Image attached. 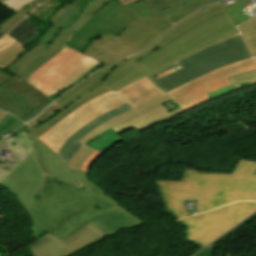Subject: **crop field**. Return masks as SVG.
<instances>
[{"mask_svg":"<svg viewBox=\"0 0 256 256\" xmlns=\"http://www.w3.org/2000/svg\"><path fill=\"white\" fill-rule=\"evenodd\" d=\"M256 162L239 159L231 174L185 169L181 182L157 181L163 204L177 219L186 217L183 200L198 199V213L234 201H256Z\"/></svg>","mask_w":256,"mask_h":256,"instance_id":"crop-field-2","label":"crop field"},{"mask_svg":"<svg viewBox=\"0 0 256 256\" xmlns=\"http://www.w3.org/2000/svg\"><path fill=\"white\" fill-rule=\"evenodd\" d=\"M175 66H177L176 63L170 65L168 68H166V69H164V70H162V71H159V72H157V73H155V74H153V75H151V76H148V78H150V77H152V76H155V75H157V74H159V73H162V72H164V71H166V70H168V69H170V68H173V67H175Z\"/></svg>","mask_w":256,"mask_h":256,"instance_id":"crop-field-46","label":"crop field"},{"mask_svg":"<svg viewBox=\"0 0 256 256\" xmlns=\"http://www.w3.org/2000/svg\"><path fill=\"white\" fill-rule=\"evenodd\" d=\"M23 123H21L19 120L15 123V124H13L9 129H11V130H14L15 128H17V127H19L20 125H22ZM6 131V130H5ZM4 131V132H5ZM1 133H3V132H1ZM1 140V139H0Z\"/></svg>","mask_w":256,"mask_h":256,"instance_id":"crop-field-47","label":"crop field"},{"mask_svg":"<svg viewBox=\"0 0 256 256\" xmlns=\"http://www.w3.org/2000/svg\"><path fill=\"white\" fill-rule=\"evenodd\" d=\"M135 19L137 18L118 0H111L77 30L68 47L81 52L92 37H99L107 32L118 36Z\"/></svg>","mask_w":256,"mask_h":256,"instance_id":"crop-field-11","label":"crop field"},{"mask_svg":"<svg viewBox=\"0 0 256 256\" xmlns=\"http://www.w3.org/2000/svg\"><path fill=\"white\" fill-rule=\"evenodd\" d=\"M14 42H16V41L11 39L9 36H7V35L4 36L2 39H0V50L8 47L9 45H11Z\"/></svg>","mask_w":256,"mask_h":256,"instance_id":"crop-field-40","label":"crop field"},{"mask_svg":"<svg viewBox=\"0 0 256 256\" xmlns=\"http://www.w3.org/2000/svg\"><path fill=\"white\" fill-rule=\"evenodd\" d=\"M17 120L18 119L14 118L8 114L0 123V131L4 130L6 128H9Z\"/></svg>","mask_w":256,"mask_h":256,"instance_id":"crop-field-37","label":"crop field"},{"mask_svg":"<svg viewBox=\"0 0 256 256\" xmlns=\"http://www.w3.org/2000/svg\"><path fill=\"white\" fill-rule=\"evenodd\" d=\"M254 174H256V170L254 171Z\"/></svg>","mask_w":256,"mask_h":256,"instance_id":"crop-field-51","label":"crop field"},{"mask_svg":"<svg viewBox=\"0 0 256 256\" xmlns=\"http://www.w3.org/2000/svg\"><path fill=\"white\" fill-rule=\"evenodd\" d=\"M126 103L116 92L103 94L68 115L39 139L57 154L61 145L71 134L100 115Z\"/></svg>","mask_w":256,"mask_h":256,"instance_id":"crop-field-9","label":"crop field"},{"mask_svg":"<svg viewBox=\"0 0 256 256\" xmlns=\"http://www.w3.org/2000/svg\"><path fill=\"white\" fill-rule=\"evenodd\" d=\"M205 9L206 10H200L195 14L191 15L190 17L184 19L179 24L172 27L167 33L158 38L156 41L163 45L174 39L179 34L186 32L189 28L205 21L207 18L225 11V8L221 2L205 7Z\"/></svg>","mask_w":256,"mask_h":256,"instance_id":"crop-field-21","label":"crop field"},{"mask_svg":"<svg viewBox=\"0 0 256 256\" xmlns=\"http://www.w3.org/2000/svg\"><path fill=\"white\" fill-rule=\"evenodd\" d=\"M26 128H27V126L24 125V126L19 127L18 130L22 131V130H24V129H26Z\"/></svg>","mask_w":256,"mask_h":256,"instance_id":"crop-field-49","label":"crop field"},{"mask_svg":"<svg viewBox=\"0 0 256 256\" xmlns=\"http://www.w3.org/2000/svg\"><path fill=\"white\" fill-rule=\"evenodd\" d=\"M236 89L256 84V71L228 78ZM247 82V84H246Z\"/></svg>","mask_w":256,"mask_h":256,"instance_id":"crop-field-32","label":"crop field"},{"mask_svg":"<svg viewBox=\"0 0 256 256\" xmlns=\"http://www.w3.org/2000/svg\"><path fill=\"white\" fill-rule=\"evenodd\" d=\"M7 115L5 112L0 111V121Z\"/></svg>","mask_w":256,"mask_h":256,"instance_id":"crop-field-48","label":"crop field"},{"mask_svg":"<svg viewBox=\"0 0 256 256\" xmlns=\"http://www.w3.org/2000/svg\"><path fill=\"white\" fill-rule=\"evenodd\" d=\"M13 136L28 154H34L43 177L39 201L26 208L32 220L33 237L38 238L47 231L55 236L81 211L90 207L98 210L114 203L104 191L89 182L87 172L68 168L27 129Z\"/></svg>","mask_w":256,"mask_h":256,"instance_id":"crop-field-1","label":"crop field"},{"mask_svg":"<svg viewBox=\"0 0 256 256\" xmlns=\"http://www.w3.org/2000/svg\"><path fill=\"white\" fill-rule=\"evenodd\" d=\"M4 35H5V33H3V32L0 31V38H1L2 36H4Z\"/></svg>","mask_w":256,"mask_h":256,"instance_id":"crop-field-50","label":"crop field"},{"mask_svg":"<svg viewBox=\"0 0 256 256\" xmlns=\"http://www.w3.org/2000/svg\"><path fill=\"white\" fill-rule=\"evenodd\" d=\"M166 50L168 49L162 46L160 49H158L157 51H155L154 53H152L151 55L147 56L146 58H144L143 60L139 61L134 65L125 60L113 71H111L110 74L98 87L84 94L83 96L72 102L69 106H67V108L63 110L61 113L57 114L44 124L32 129L29 133L32 134L34 137L38 138L40 135L47 132L59 121H61L64 117H66L68 114L82 106L88 100L98 97L105 92L116 91L123 86H126L146 75H149L140 67H142L144 63L156 58Z\"/></svg>","mask_w":256,"mask_h":256,"instance_id":"crop-field-8","label":"crop field"},{"mask_svg":"<svg viewBox=\"0 0 256 256\" xmlns=\"http://www.w3.org/2000/svg\"><path fill=\"white\" fill-rule=\"evenodd\" d=\"M36 30L37 27L35 24L26 18L21 23H19L8 35L17 42L26 46L37 39L39 33H37Z\"/></svg>","mask_w":256,"mask_h":256,"instance_id":"crop-field-25","label":"crop field"},{"mask_svg":"<svg viewBox=\"0 0 256 256\" xmlns=\"http://www.w3.org/2000/svg\"><path fill=\"white\" fill-rule=\"evenodd\" d=\"M86 20V18H83L81 16H79L74 23L70 26V28L68 30L62 28L61 32L59 33V35L56 37V39L53 41V43L50 45V47L48 48L51 51L54 52H58L63 45L65 44V42L67 41V39L70 37V35Z\"/></svg>","mask_w":256,"mask_h":256,"instance_id":"crop-field-29","label":"crop field"},{"mask_svg":"<svg viewBox=\"0 0 256 256\" xmlns=\"http://www.w3.org/2000/svg\"><path fill=\"white\" fill-rule=\"evenodd\" d=\"M238 28L248 43L254 56H256V18L240 25Z\"/></svg>","mask_w":256,"mask_h":256,"instance_id":"crop-field-30","label":"crop field"},{"mask_svg":"<svg viewBox=\"0 0 256 256\" xmlns=\"http://www.w3.org/2000/svg\"><path fill=\"white\" fill-rule=\"evenodd\" d=\"M25 51V48L19 44L14 43L8 48L4 49L0 52V68H5L8 65L12 64L16 58V56Z\"/></svg>","mask_w":256,"mask_h":256,"instance_id":"crop-field-31","label":"crop field"},{"mask_svg":"<svg viewBox=\"0 0 256 256\" xmlns=\"http://www.w3.org/2000/svg\"><path fill=\"white\" fill-rule=\"evenodd\" d=\"M32 1L33 0H3L0 2V5L16 12L17 10L21 9Z\"/></svg>","mask_w":256,"mask_h":256,"instance_id":"crop-field-34","label":"crop field"},{"mask_svg":"<svg viewBox=\"0 0 256 256\" xmlns=\"http://www.w3.org/2000/svg\"><path fill=\"white\" fill-rule=\"evenodd\" d=\"M117 92L121 97L127 100L133 108L163 94V92L147 78Z\"/></svg>","mask_w":256,"mask_h":256,"instance_id":"crop-field-22","label":"crop field"},{"mask_svg":"<svg viewBox=\"0 0 256 256\" xmlns=\"http://www.w3.org/2000/svg\"><path fill=\"white\" fill-rule=\"evenodd\" d=\"M130 109H132V108L128 104H126L122 107H119L115 110H112V111L100 116L99 118H97L93 122L89 123L88 125H86L82 129H80L79 131H77L76 133L71 135L65 141V143L62 145L60 151L57 154L58 157L60 158V160L63 163H65L66 165H68L71 158L79 150V148L83 145V144L79 143L77 140H79L85 134L90 132L96 126H98V125H100V124H102V123H104V122H106V121H108V120H110V119H112V118L130 110Z\"/></svg>","mask_w":256,"mask_h":256,"instance_id":"crop-field-18","label":"crop field"},{"mask_svg":"<svg viewBox=\"0 0 256 256\" xmlns=\"http://www.w3.org/2000/svg\"><path fill=\"white\" fill-rule=\"evenodd\" d=\"M59 30L60 27L56 25L51 26L40 44L35 46L21 59L15 62L13 66L6 70L14 74V77H18L19 79H24L29 74H31L40 65L55 55V53L45 49V47L49 44L53 36L58 33Z\"/></svg>","mask_w":256,"mask_h":256,"instance_id":"crop-field-17","label":"crop field"},{"mask_svg":"<svg viewBox=\"0 0 256 256\" xmlns=\"http://www.w3.org/2000/svg\"><path fill=\"white\" fill-rule=\"evenodd\" d=\"M53 101L51 100L48 104H46L45 106H43L41 109H39L37 112H35L33 115H31L29 118H27L24 122H27L29 120H31L32 118L36 117L37 115H39L50 103H52Z\"/></svg>","mask_w":256,"mask_h":256,"instance_id":"crop-field-43","label":"crop field"},{"mask_svg":"<svg viewBox=\"0 0 256 256\" xmlns=\"http://www.w3.org/2000/svg\"><path fill=\"white\" fill-rule=\"evenodd\" d=\"M89 222L109 235L143 224L115 203L99 211L90 208L80 213L68 222L56 237L63 241Z\"/></svg>","mask_w":256,"mask_h":256,"instance_id":"crop-field-13","label":"crop field"},{"mask_svg":"<svg viewBox=\"0 0 256 256\" xmlns=\"http://www.w3.org/2000/svg\"><path fill=\"white\" fill-rule=\"evenodd\" d=\"M254 210L256 202H238L178 222L186 227L187 241L203 247Z\"/></svg>","mask_w":256,"mask_h":256,"instance_id":"crop-field-7","label":"crop field"},{"mask_svg":"<svg viewBox=\"0 0 256 256\" xmlns=\"http://www.w3.org/2000/svg\"><path fill=\"white\" fill-rule=\"evenodd\" d=\"M252 57L241 34L213 44L177 62L183 69L154 81L168 92L212 70Z\"/></svg>","mask_w":256,"mask_h":256,"instance_id":"crop-field-3","label":"crop field"},{"mask_svg":"<svg viewBox=\"0 0 256 256\" xmlns=\"http://www.w3.org/2000/svg\"><path fill=\"white\" fill-rule=\"evenodd\" d=\"M239 33L227 11L189 29L164 45L169 50L143 67L149 74L205 46Z\"/></svg>","mask_w":256,"mask_h":256,"instance_id":"crop-field-5","label":"crop field"},{"mask_svg":"<svg viewBox=\"0 0 256 256\" xmlns=\"http://www.w3.org/2000/svg\"><path fill=\"white\" fill-rule=\"evenodd\" d=\"M102 153L98 152L95 150V152L90 156V158L85 162L82 170L88 171V168L90 166V164L101 155Z\"/></svg>","mask_w":256,"mask_h":256,"instance_id":"crop-field-39","label":"crop field"},{"mask_svg":"<svg viewBox=\"0 0 256 256\" xmlns=\"http://www.w3.org/2000/svg\"><path fill=\"white\" fill-rule=\"evenodd\" d=\"M256 59V58H255Z\"/></svg>","mask_w":256,"mask_h":256,"instance_id":"crop-field-52","label":"crop field"},{"mask_svg":"<svg viewBox=\"0 0 256 256\" xmlns=\"http://www.w3.org/2000/svg\"><path fill=\"white\" fill-rule=\"evenodd\" d=\"M216 1L219 0H141L126 7L137 18L168 17L175 24L187 15Z\"/></svg>","mask_w":256,"mask_h":256,"instance_id":"crop-field-15","label":"crop field"},{"mask_svg":"<svg viewBox=\"0 0 256 256\" xmlns=\"http://www.w3.org/2000/svg\"><path fill=\"white\" fill-rule=\"evenodd\" d=\"M98 64V61L65 47L30 75L27 82L49 97L73 84Z\"/></svg>","mask_w":256,"mask_h":256,"instance_id":"crop-field-6","label":"crop field"},{"mask_svg":"<svg viewBox=\"0 0 256 256\" xmlns=\"http://www.w3.org/2000/svg\"><path fill=\"white\" fill-rule=\"evenodd\" d=\"M8 142V146L14 150L16 153L19 152L21 149H23L20 144L15 140V138L12 136L10 138L6 139Z\"/></svg>","mask_w":256,"mask_h":256,"instance_id":"crop-field-38","label":"crop field"},{"mask_svg":"<svg viewBox=\"0 0 256 256\" xmlns=\"http://www.w3.org/2000/svg\"><path fill=\"white\" fill-rule=\"evenodd\" d=\"M124 60H121L117 63H114V64L102 69V70L97 71L92 76H90L86 80L82 81L80 84H78L72 90H70L68 93L63 95L61 98H59L57 101H55L59 105H61L62 107H60L53 114L49 115L45 120H43V121L39 122L38 124L28 128V131H30L35 126H38V125L44 123L45 121L50 119L55 114L62 111L68 104H70L72 101H74L75 99H77L78 97L83 95L85 92L90 91L92 88L98 86L104 80V78L108 75V73L111 70H113L117 65H119L121 62H123Z\"/></svg>","mask_w":256,"mask_h":256,"instance_id":"crop-field-19","label":"crop field"},{"mask_svg":"<svg viewBox=\"0 0 256 256\" xmlns=\"http://www.w3.org/2000/svg\"><path fill=\"white\" fill-rule=\"evenodd\" d=\"M106 236L89 223L64 242L47 232L28 246L32 256H67Z\"/></svg>","mask_w":256,"mask_h":256,"instance_id":"crop-field-14","label":"crop field"},{"mask_svg":"<svg viewBox=\"0 0 256 256\" xmlns=\"http://www.w3.org/2000/svg\"><path fill=\"white\" fill-rule=\"evenodd\" d=\"M213 253H214V250L205 248L200 252H198L197 254H195L194 256H212Z\"/></svg>","mask_w":256,"mask_h":256,"instance_id":"crop-field-41","label":"crop field"},{"mask_svg":"<svg viewBox=\"0 0 256 256\" xmlns=\"http://www.w3.org/2000/svg\"><path fill=\"white\" fill-rule=\"evenodd\" d=\"M169 100H171V99L165 94V95H163V96H161V97H159L155 100H152L148 103H145V104L139 106L138 108H136V109H134V110L122 115V116L116 117V118L104 123L103 125L97 127L95 130H93L92 132L87 134L85 137H83L79 142L84 144L88 140H90L91 138L101 134L102 132L106 131L107 129H109V128H111V127H113V126H115V125H117V124H119L123 121H126L130 118H133L137 115H140V114H142V113H144V112H146V111H148V110H150L154 107H157V106H159V105H161V104H163V103H165Z\"/></svg>","mask_w":256,"mask_h":256,"instance_id":"crop-field-24","label":"crop field"},{"mask_svg":"<svg viewBox=\"0 0 256 256\" xmlns=\"http://www.w3.org/2000/svg\"><path fill=\"white\" fill-rule=\"evenodd\" d=\"M1 1V0H0Z\"/></svg>","mask_w":256,"mask_h":256,"instance_id":"crop-field-53","label":"crop field"},{"mask_svg":"<svg viewBox=\"0 0 256 256\" xmlns=\"http://www.w3.org/2000/svg\"><path fill=\"white\" fill-rule=\"evenodd\" d=\"M123 5H128V4H132V3H135L139 0H119Z\"/></svg>","mask_w":256,"mask_h":256,"instance_id":"crop-field-45","label":"crop field"},{"mask_svg":"<svg viewBox=\"0 0 256 256\" xmlns=\"http://www.w3.org/2000/svg\"><path fill=\"white\" fill-rule=\"evenodd\" d=\"M235 2L226 5L223 3L228 13L233 18L236 25L243 23L255 16H250L246 7L252 5L248 0H234ZM253 6V5H252Z\"/></svg>","mask_w":256,"mask_h":256,"instance_id":"crop-field-26","label":"crop field"},{"mask_svg":"<svg viewBox=\"0 0 256 256\" xmlns=\"http://www.w3.org/2000/svg\"><path fill=\"white\" fill-rule=\"evenodd\" d=\"M92 0H74V1H72L71 3H74V4H76V5H78V6H80V7H84V6H86L88 3H90Z\"/></svg>","mask_w":256,"mask_h":256,"instance_id":"crop-field-44","label":"crop field"},{"mask_svg":"<svg viewBox=\"0 0 256 256\" xmlns=\"http://www.w3.org/2000/svg\"><path fill=\"white\" fill-rule=\"evenodd\" d=\"M0 186L14 194L25 208L35 203L33 198L42 186V177L34 156L29 155Z\"/></svg>","mask_w":256,"mask_h":256,"instance_id":"crop-field-16","label":"crop field"},{"mask_svg":"<svg viewBox=\"0 0 256 256\" xmlns=\"http://www.w3.org/2000/svg\"><path fill=\"white\" fill-rule=\"evenodd\" d=\"M161 45L158 43V42H154L152 44V46L147 49L145 52L139 54V55H135V56H132L130 58H128L127 60L129 62H131L132 64L135 63V62H138L139 60L143 59L144 57H146L147 55H149L150 53L154 52L156 49H158Z\"/></svg>","mask_w":256,"mask_h":256,"instance_id":"crop-field-35","label":"crop field"},{"mask_svg":"<svg viewBox=\"0 0 256 256\" xmlns=\"http://www.w3.org/2000/svg\"><path fill=\"white\" fill-rule=\"evenodd\" d=\"M61 3L62 1L60 0H44L31 12L30 15L47 22L53 17V12Z\"/></svg>","mask_w":256,"mask_h":256,"instance_id":"crop-field-27","label":"crop field"},{"mask_svg":"<svg viewBox=\"0 0 256 256\" xmlns=\"http://www.w3.org/2000/svg\"><path fill=\"white\" fill-rule=\"evenodd\" d=\"M253 70H256V62L254 58L219 69L175 89L167 93V95L170 96L179 106L187 110L211 99L206 95L207 93L230 85L231 83L226 79L227 77L247 73Z\"/></svg>","mask_w":256,"mask_h":256,"instance_id":"crop-field-10","label":"crop field"},{"mask_svg":"<svg viewBox=\"0 0 256 256\" xmlns=\"http://www.w3.org/2000/svg\"><path fill=\"white\" fill-rule=\"evenodd\" d=\"M60 106L57 103H53L52 105H50L40 116H38L36 119L30 121L29 123H27L26 125L29 127L43 119H45L50 113L54 112L55 110H57Z\"/></svg>","mask_w":256,"mask_h":256,"instance_id":"crop-field-36","label":"crop field"},{"mask_svg":"<svg viewBox=\"0 0 256 256\" xmlns=\"http://www.w3.org/2000/svg\"><path fill=\"white\" fill-rule=\"evenodd\" d=\"M50 100L27 82L0 72V110L23 121Z\"/></svg>","mask_w":256,"mask_h":256,"instance_id":"crop-field-12","label":"crop field"},{"mask_svg":"<svg viewBox=\"0 0 256 256\" xmlns=\"http://www.w3.org/2000/svg\"><path fill=\"white\" fill-rule=\"evenodd\" d=\"M94 152V149L88 148L86 146H82L80 150L76 153V155L71 160L68 167L80 170L83 163L88 159V157Z\"/></svg>","mask_w":256,"mask_h":256,"instance_id":"crop-field-33","label":"crop field"},{"mask_svg":"<svg viewBox=\"0 0 256 256\" xmlns=\"http://www.w3.org/2000/svg\"><path fill=\"white\" fill-rule=\"evenodd\" d=\"M106 1L107 0H93L83 9L67 3L49 22L68 29L79 15L88 18L100 5Z\"/></svg>","mask_w":256,"mask_h":256,"instance_id":"crop-field-23","label":"crop field"},{"mask_svg":"<svg viewBox=\"0 0 256 256\" xmlns=\"http://www.w3.org/2000/svg\"><path fill=\"white\" fill-rule=\"evenodd\" d=\"M42 0H34L32 3L27 5L26 7H22L20 11L14 13L9 18H7L4 22L0 24V30L3 32H8L11 30L16 24H18L34 7H36Z\"/></svg>","mask_w":256,"mask_h":256,"instance_id":"crop-field-28","label":"crop field"},{"mask_svg":"<svg viewBox=\"0 0 256 256\" xmlns=\"http://www.w3.org/2000/svg\"><path fill=\"white\" fill-rule=\"evenodd\" d=\"M172 25L174 24L168 18L137 19L118 37L108 33L101 39L94 40L85 54L109 65L141 52Z\"/></svg>","mask_w":256,"mask_h":256,"instance_id":"crop-field-4","label":"crop field"},{"mask_svg":"<svg viewBox=\"0 0 256 256\" xmlns=\"http://www.w3.org/2000/svg\"><path fill=\"white\" fill-rule=\"evenodd\" d=\"M181 112H184V111L181 108H179L170 113L166 108H164L161 105V106L154 108L140 116L137 115L138 117H135L131 120L123 122L111 129L114 130L118 134H120L130 128H134L137 131H140V130L150 127L156 123H159L165 119L175 116Z\"/></svg>","mask_w":256,"mask_h":256,"instance_id":"crop-field-20","label":"crop field"},{"mask_svg":"<svg viewBox=\"0 0 256 256\" xmlns=\"http://www.w3.org/2000/svg\"><path fill=\"white\" fill-rule=\"evenodd\" d=\"M15 169V167H13L10 171H6V170H2L0 169V183L6 179L11 173L12 171Z\"/></svg>","mask_w":256,"mask_h":256,"instance_id":"crop-field-42","label":"crop field"}]
</instances>
